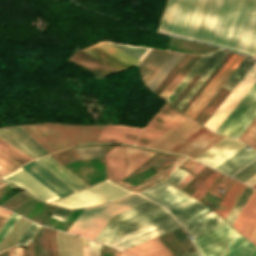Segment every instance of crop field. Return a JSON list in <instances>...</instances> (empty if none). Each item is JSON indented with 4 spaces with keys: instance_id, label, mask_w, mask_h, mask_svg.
<instances>
[{
    "instance_id": "8a807250",
    "label": "crop field",
    "mask_w": 256,
    "mask_h": 256,
    "mask_svg": "<svg viewBox=\"0 0 256 256\" xmlns=\"http://www.w3.org/2000/svg\"><path fill=\"white\" fill-rule=\"evenodd\" d=\"M158 32L256 52V0H168Z\"/></svg>"
},
{
    "instance_id": "92a150f3",
    "label": "crop field",
    "mask_w": 256,
    "mask_h": 256,
    "mask_svg": "<svg viewBox=\"0 0 256 256\" xmlns=\"http://www.w3.org/2000/svg\"><path fill=\"white\" fill-rule=\"evenodd\" d=\"M172 54V52L152 49L143 59V61L139 64V67L145 86L164 65V63L171 57Z\"/></svg>"
},
{
    "instance_id": "f4fd0767",
    "label": "crop field",
    "mask_w": 256,
    "mask_h": 256,
    "mask_svg": "<svg viewBox=\"0 0 256 256\" xmlns=\"http://www.w3.org/2000/svg\"><path fill=\"white\" fill-rule=\"evenodd\" d=\"M181 225L169 214H165L139 226L120 233L112 247L123 250Z\"/></svg>"
},
{
    "instance_id": "0bd39190",
    "label": "crop field",
    "mask_w": 256,
    "mask_h": 256,
    "mask_svg": "<svg viewBox=\"0 0 256 256\" xmlns=\"http://www.w3.org/2000/svg\"><path fill=\"white\" fill-rule=\"evenodd\" d=\"M82 50L118 71L129 68L128 66L124 65L123 63L115 60L114 58L108 56L107 54L99 51L98 49H96L92 46H90L86 49H82Z\"/></svg>"
},
{
    "instance_id": "1d79db26",
    "label": "crop field",
    "mask_w": 256,
    "mask_h": 256,
    "mask_svg": "<svg viewBox=\"0 0 256 256\" xmlns=\"http://www.w3.org/2000/svg\"><path fill=\"white\" fill-rule=\"evenodd\" d=\"M100 243H96L88 240V255L89 256H99L100 254Z\"/></svg>"
},
{
    "instance_id": "5142ce71",
    "label": "crop field",
    "mask_w": 256,
    "mask_h": 256,
    "mask_svg": "<svg viewBox=\"0 0 256 256\" xmlns=\"http://www.w3.org/2000/svg\"><path fill=\"white\" fill-rule=\"evenodd\" d=\"M245 146L238 140L225 137L195 160L214 168Z\"/></svg>"
},
{
    "instance_id": "dbb93151",
    "label": "crop field",
    "mask_w": 256,
    "mask_h": 256,
    "mask_svg": "<svg viewBox=\"0 0 256 256\" xmlns=\"http://www.w3.org/2000/svg\"><path fill=\"white\" fill-rule=\"evenodd\" d=\"M197 204H199V203H198L196 200H194V199L192 198V199H190V200H187V201H185V202H183V203H181V204H179V205H177V206H175V207L169 209V211H170L173 215H175V214H177V213H179V212H181V211H184V210H186V209H188V208H190V207H193V206H195V205H197Z\"/></svg>"
},
{
    "instance_id": "0fb4a251",
    "label": "crop field",
    "mask_w": 256,
    "mask_h": 256,
    "mask_svg": "<svg viewBox=\"0 0 256 256\" xmlns=\"http://www.w3.org/2000/svg\"><path fill=\"white\" fill-rule=\"evenodd\" d=\"M187 174L177 168L167 179L177 186Z\"/></svg>"
},
{
    "instance_id": "4a817a6b",
    "label": "crop field",
    "mask_w": 256,
    "mask_h": 256,
    "mask_svg": "<svg viewBox=\"0 0 256 256\" xmlns=\"http://www.w3.org/2000/svg\"><path fill=\"white\" fill-rule=\"evenodd\" d=\"M185 238H187V235L185 234L182 227H180L123 251L135 256H142Z\"/></svg>"
},
{
    "instance_id": "214f88e0",
    "label": "crop field",
    "mask_w": 256,
    "mask_h": 256,
    "mask_svg": "<svg viewBox=\"0 0 256 256\" xmlns=\"http://www.w3.org/2000/svg\"><path fill=\"white\" fill-rule=\"evenodd\" d=\"M21 168L24 169L27 173H29L32 177H34L37 181L43 184L59 198L73 192V190L67 187L64 183L54 177L51 173H49L35 161Z\"/></svg>"
},
{
    "instance_id": "120bbe31",
    "label": "crop field",
    "mask_w": 256,
    "mask_h": 256,
    "mask_svg": "<svg viewBox=\"0 0 256 256\" xmlns=\"http://www.w3.org/2000/svg\"><path fill=\"white\" fill-rule=\"evenodd\" d=\"M29 224L30 221L20 217V219L0 244V252L14 246Z\"/></svg>"
},
{
    "instance_id": "7b73153f",
    "label": "crop field",
    "mask_w": 256,
    "mask_h": 256,
    "mask_svg": "<svg viewBox=\"0 0 256 256\" xmlns=\"http://www.w3.org/2000/svg\"><path fill=\"white\" fill-rule=\"evenodd\" d=\"M250 186L254 185L256 183V175H254L253 177H251L249 180H247L246 182H244Z\"/></svg>"
},
{
    "instance_id": "d3111659",
    "label": "crop field",
    "mask_w": 256,
    "mask_h": 256,
    "mask_svg": "<svg viewBox=\"0 0 256 256\" xmlns=\"http://www.w3.org/2000/svg\"><path fill=\"white\" fill-rule=\"evenodd\" d=\"M58 231V230H57ZM57 245L59 256H72L71 252V235L57 232ZM72 251L73 256L82 255V237H78L72 234Z\"/></svg>"
},
{
    "instance_id": "b54c1fbb",
    "label": "crop field",
    "mask_w": 256,
    "mask_h": 256,
    "mask_svg": "<svg viewBox=\"0 0 256 256\" xmlns=\"http://www.w3.org/2000/svg\"><path fill=\"white\" fill-rule=\"evenodd\" d=\"M108 43V42H106ZM117 49L127 53L128 55L138 59L142 60V58L146 55V53L149 51L150 48L148 47H140V46H132V45H124V44H116V43H108Z\"/></svg>"
},
{
    "instance_id": "5866460e",
    "label": "crop field",
    "mask_w": 256,
    "mask_h": 256,
    "mask_svg": "<svg viewBox=\"0 0 256 256\" xmlns=\"http://www.w3.org/2000/svg\"><path fill=\"white\" fill-rule=\"evenodd\" d=\"M183 54L174 53L172 57L167 61V63L161 68V70L155 75V77L147 85L153 92L154 89L159 85L163 78L168 74V72L173 68L177 61L182 57Z\"/></svg>"
},
{
    "instance_id": "1d83c4d3",
    "label": "crop field",
    "mask_w": 256,
    "mask_h": 256,
    "mask_svg": "<svg viewBox=\"0 0 256 256\" xmlns=\"http://www.w3.org/2000/svg\"><path fill=\"white\" fill-rule=\"evenodd\" d=\"M255 116L256 99L251 103V105L246 109V111L242 114V116L237 120V122L232 126L226 135L238 138Z\"/></svg>"
},
{
    "instance_id": "1f2cbd36",
    "label": "crop field",
    "mask_w": 256,
    "mask_h": 256,
    "mask_svg": "<svg viewBox=\"0 0 256 256\" xmlns=\"http://www.w3.org/2000/svg\"><path fill=\"white\" fill-rule=\"evenodd\" d=\"M18 218H19V216L12 213V215L9 217V219L6 221V223L0 229V242L3 240V238L9 232V230L12 228V226L15 224V222L18 220Z\"/></svg>"
},
{
    "instance_id": "0f1d7ab4",
    "label": "crop field",
    "mask_w": 256,
    "mask_h": 256,
    "mask_svg": "<svg viewBox=\"0 0 256 256\" xmlns=\"http://www.w3.org/2000/svg\"><path fill=\"white\" fill-rule=\"evenodd\" d=\"M185 256H198V254L196 253V251H194V252H192V253H190V254H187V255H185Z\"/></svg>"
},
{
    "instance_id": "d1516ede",
    "label": "crop field",
    "mask_w": 256,
    "mask_h": 256,
    "mask_svg": "<svg viewBox=\"0 0 256 256\" xmlns=\"http://www.w3.org/2000/svg\"><path fill=\"white\" fill-rule=\"evenodd\" d=\"M222 138L203 127L169 152L185 154L194 159Z\"/></svg>"
},
{
    "instance_id": "730fd06b",
    "label": "crop field",
    "mask_w": 256,
    "mask_h": 256,
    "mask_svg": "<svg viewBox=\"0 0 256 256\" xmlns=\"http://www.w3.org/2000/svg\"><path fill=\"white\" fill-rule=\"evenodd\" d=\"M245 147L235 155H233L231 158L217 166L215 169L231 176L235 172H237L239 169H241L243 166L248 164L250 161H252L254 158H256V151L252 148L250 150Z\"/></svg>"
},
{
    "instance_id": "25e5ab78",
    "label": "crop field",
    "mask_w": 256,
    "mask_h": 256,
    "mask_svg": "<svg viewBox=\"0 0 256 256\" xmlns=\"http://www.w3.org/2000/svg\"><path fill=\"white\" fill-rule=\"evenodd\" d=\"M239 139L256 149V122L253 121Z\"/></svg>"
},
{
    "instance_id": "d23c7cc5",
    "label": "crop field",
    "mask_w": 256,
    "mask_h": 256,
    "mask_svg": "<svg viewBox=\"0 0 256 256\" xmlns=\"http://www.w3.org/2000/svg\"><path fill=\"white\" fill-rule=\"evenodd\" d=\"M20 165L22 164L0 151V176Z\"/></svg>"
},
{
    "instance_id": "d8731c3e",
    "label": "crop field",
    "mask_w": 256,
    "mask_h": 256,
    "mask_svg": "<svg viewBox=\"0 0 256 256\" xmlns=\"http://www.w3.org/2000/svg\"><path fill=\"white\" fill-rule=\"evenodd\" d=\"M239 235L238 232L226 224L193 240V243L201 256H224Z\"/></svg>"
},
{
    "instance_id": "750c4746",
    "label": "crop field",
    "mask_w": 256,
    "mask_h": 256,
    "mask_svg": "<svg viewBox=\"0 0 256 256\" xmlns=\"http://www.w3.org/2000/svg\"><path fill=\"white\" fill-rule=\"evenodd\" d=\"M244 188L245 185L234 181L215 212L225 219Z\"/></svg>"
},
{
    "instance_id": "447ae74e",
    "label": "crop field",
    "mask_w": 256,
    "mask_h": 256,
    "mask_svg": "<svg viewBox=\"0 0 256 256\" xmlns=\"http://www.w3.org/2000/svg\"><path fill=\"white\" fill-rule=\"evenodd\" d=\"M70 212L71 210L56 207L53 210H51L49 213L65 218Z\"/></svg>"
},
{
    "instance_id": "ac0d7876",
    "label": "crop field",
    "mask_w": 256,
    "mask_h": 256,
    "mask_svg": "<svg viewBox=\"0 0 256 256\" xmlns=\"http://www.w3.org/2000/svg\"><path fill=\"white\" fill-rule=\"evenodd\" d=\"M147 201L134 194L108 206L84 209L68 232L94 239L111 216Z\"/></svg>"
},
{
    "instance_id": "028f5c9d",
    "label": "crop field",
    "mask_w": 256,
    "mask_h": 256,
    "mask_svg": "<svg viewBox=\"0 0 256 256\" xmlns=\"http://www.w3.org/2000/svg\"><path fill=\"white\" fill-rule=\"evenodd\" d=\"M254 61L244 58L239 66L235 69L232 75L224 83L223 87L230 90L238 83V81L243 77V75L248 71V69L253 65Z\"/></svg>"
},
{
    "instance_id": "e1d0b9f6",
    "label": "crop field",
    "mask_w": 256,
    "mask_h": 256,
    "mask_svg": "<svg viewBox=\"0 0 256 256\" xmlns=\"http://www.w3.org/2000/svg\"><path fill=\"white\" fill-rule=\"evenodd\" d=\"M83 246H87V240L83 238Z\"/></svg>"
},
{
    "instance_id": "4177f3b9",
    "label": "crop field",
    "mask_w": 256,
    "mask_h": 256,
    "mask_svg": "<svg viewBox=\"0 0 256 256\" xmlns=\"http://www.w3.org/2000/svg\"><path fill=\"white\" fill-rule=\"evenodd\" d=\"M255 97L256 83L251 87V89L246 93V95L241 99V101L236 105V107L231 111V113L226 117V119L221 123V125L216 129L214 133L225 135L226 132L245 111V109L255 99Z\"/></svg>"
},
{
    "instance_id": "22f410ed",
    "label": "crop field",
    "mask_w": 256,
    "mask_h": 256,
    "mask_svg": "<svg viewBox=\"0 0 256 256\" xmlns=\"http://www.w3.org/2000/svg\"><path fill=\"white\" fill-rule=\"evenodd\" d=\"M200 127L202 126L187 117L147 147L167 152Z\"/></svg>"
},
{
    "instance_id": "d32e631a",
    "label": "crop field",
    "mask_w": 256,
    "mask_h": 256,
    "mask_svg": "<svg viewBox=\"0 0 256 256\" xmlns=\"http://www.w3.org/2000/svg\"><path fill=\"white\" fill-rule=\"evenodd\" d=\"M225 256H256V247L240 235Z\"/></svg>"
},
{
    "instance_id": "3316defc",
    "label": "crop field",
    "mask_w": 256,
    "mask_h": 256,
    "mask_svg": "<svg viewBox=\"0 0 256 256\" xmlns=\"http://www.w3.org/2000/svg\"><path fill=\"white\" fill-rule=\"evenodd\" d=\"M255 81L256 62L204 126L214 132L225 117L230 113V111L235 107V105L240 101V99L245 95V93L250 89V87L255 83Z\"/></svg>"
},
{
    "instance_id": "78b8030e",
    "label": "crop field",
    "mask_w": 256,
    "mask_h": 256,
    "mask_svg": "<svg viewBox=\"0 0 256 256\" xmlns=\"http://www.w3.org/2000/svg\"><path fill=\"white\" fill-rule=\"evenodd\" d=\"M116 256H130V255H127V254H125V253L120 252V251L117 250Z\"/></svg>"
},
{
    "instance_id": "dd49c442",
    "label": "crop field",
    "mask_w": 256,
    "mask_h": 256,
    "mask_svg": "<svg viewBox=\"0 0 256 256\" xmlns=\"http://www.w3.org/2000/svg\"><path fill=\"white\" fill-rule=\"evenodd\" d=\"M153 154L155 153L115 146L105 154L108 178L115 182L123 179Z\"/></svg>"
},
{
    "instance_id": "cbeb9de0",
    "label": "crop field",
    "mask_w": 256,
    "mask_h": 256,
    "mask_svg": "<svg viewBox=\"0 0 256 256\" xmlns=\"http://www.w3.org/2000/svg\"><path fill=\"white\" fill-rule=\"evenodd\" d=\"M0 138L33 159L48 155V153L20 127L0 129Z\"/></svg>"
},
{
    "instance_id": "412701ff",
    "label": "crop field",
    "mask_w": 256,
    "mask_h": 256,
    "mask_svg": "<svg viewBox=\"0 0 256 256\" xmlns=\"http://www.w3.org/2000/svg\"><path fill=\"white\" fill-rule=\"evenodd\" d=\"M130 193H132V191L110 180H105L96 185L54 201L52 204L75 209L107 204Z\"/></svg>"
},
{
    "instance_id": "e52e79f7",
    "label": "crop field",
    "mask_w": 256,
    "mask_h": 256,
    "mask_svg": "<svg viewBox=\"0 0 256 256\" xmlns=\"http://www.w3.org/2000/svg\"><path fill=\"white\" fill-rule=\"evenodd\" d=\"M208 211L210 210L199 204L193 208H190L184 212L175 215V217L184 225L190 238L194 237L195 239L209 231H212L226 224V222L219 218L215 213H213L212 211Z\"/></svg>"
},
{
    "instance_id": "c21b1889",
    "label": "crop field",
    "mask_w": 256,
    "mask_h": 256,
    "mask_svg": "<svg viewBox=\"0 0 256 256\" xmlns=\"http://www.w3.org/2000/svg\"><path fill=\"white\" fill-rule=\"evenodd\" d=\"M212 53L203 55L202 58L197 62V64L192 68V70L187 74L183 81L178 85V87L173 91V93L168 97L167 101L173 102L177 95L182 91L198 69L203 65V63L210 57Z\"/></svg>"
},
{
    "instance_id": "ae633e8c",
    "label": "crop field",
    "mask_w": 256,
    "mask_h": 256,
    "mask_svg": "<svg viewBox=\"0 0 256 256\" xmlns=\"http://www.w3.org/2000/svg\"><path fill=\"white\" fill-rule=\"evenodd\" d=\"M253 187H255V188H256V184H255Z\"/></svg>"
},
{
    "instance_id": "0765c3eb",
    "label": "crop field",
    "mask_w": 256,
    "mask_h": 256,
    "mask_svg": "<svg viewBox=\"0 0 256 256\" xmlns=\"http://www.w3.org/2000/svg\"><path fill=\"white\" fill-rule=\"evenodd\" d=\"M10 214L11 212L0 208V228L4 224V222L7 220V218L10 216Z\"/></svg>"
},
{
    "instance_id": "a9b5d70f",
    "label": "crop field",
    "mask_w": 256,
    "mask_h": 256,
    "mask_svg": "<svg viewBox=\"0 0 256 256\" xmlns=\"http://www.w3.org/2000/svg\"><path fill=\"white\" fill-rule=\"evenodd\" d=\"M35 161L42 165L53 175H55L58 179H60L74 191L87 187V185L81 182L78 178L68 172L65 168H63L49 156L36 159Z\"/></svg>"
},
{
    "instance_id": "e1f06a70",
    "label": "crop field",
    "mask_w": 256,
    "mask_h": 256,
    "mask_svg": "<svg viewBox=\"0 0 256 256\" xmlns=\"http://www.w3.org/2000/svg\"><path fill=\"white\" fill-rule=\"evenodd\" d=\"M227 52L223 51L221 55L216 59V61L211 65V67L206 71V73L197 81V83L191 88V90L185 95V97L176 106L180 110L187 103V101L192 97V95L197 91V89L202 85L206 78L211 74V72L216 68V66L221 62V60L226 56Z\"/></svg>"
},
{
    "instance_id": "34b2d1b8",
    "label": "crop field",
    "mask_w": 256,
    "mask_h": 256,
    "mask_svg": "<svg viewBox=\"0 0 256 256\" xmlns=\"http://www.w3.org/2000/svg\"><path fill=\"white\" fill-rule=\"evenodd\" d=\"M54 152L74 144L96 142L104 126L34 125Z\"/></svg>"
},
{
    "instance_id": "dafd665d",
    "label": "crop field",
    "mask_w": 256,
    "mask_h": 256,
    "mask_svg": "<svg viewBox=\"0 0 256 256\" xmlns=\"http://www.w3.org/2000/svg\"><path fill=\"white\" fill-rule=\"evenodd\" d=\"M158 207H160V205H158L152 201H149L140 206H137L135 208H132L130 210H127L125 212H122L118 215L111 217L110 220L107 222V224L103 227V229L96 236L95 240H97L99 242H103L104 239L107 237V235L111 232V230L114 228V226L116 224L123 222L125 220H128L130 218H133L135 216H138L140 214H143L145 212H148L150 210H153L155 208H158Z\"/></svg>"
},
{
    "instance_id": "425ffa30",
    "label": "crop field",
    "mask_w": 256,
    "mask_h": 256,
    "mask_svg": "<svg viewBox=\"0 0 256 256\" xmlns=\"http://www.w3.org/2000/svg\"><path fill=\"white\" fill-rule=\"evenodd\" d=\"M26 133H28L41 147H43L49 154L54 153L48 146L45 140L37 132L33 125L21 127Z\"/></svg>"
},
{
    "instance_id": "ae1a2a85",
    "label": "crop field",
    "mask_w": 256,
    "mask_h": 256,
    "mask_svg": "<svg viewBox=\"0 0 256 256\" xmlns=\"http://www.w3.org/2000/svg\"><path fill=\"white\" fill-rule=\"evenodd\" d=\"M70 61L86 67L91 72L99 76H105L117 72L116 70L112 69L111 67L107 66L106 64L100 62L99 60L93 58L92 56L79 49L74 53Z\"/></svg>"
},
{
    "instance_id": "28ad6ade",
    "label": "crop field",
    "mask_w": 256,
    "mask_h": 256,
    "mask_svg": "<svg viewBox=\"0 0 256 256\" xmlns=\"http://www.w3.org/2000/svg\"><path fill=\"white\" fill-rule=\"evenodd\" d=\"M242 59L243 57L233 54L185 113L194 119Z\"/></svg>"
},
{
    "instance_id": "bd1437ed",
    "label": "crop field",
    "mask_w": 256,
    "mask_h": 256,
    "mask_svg": "<svg viewBox=\"0 0 256 256\" xmlns=\"http://www.w3.org/2000/svg\"><path fill=\"white\" fill-rule=\"evenodd\" d=\"M194 251L189 238L147 254L145 256H182Z\"/></svg>"
},
{
    "instance_id": "89e229c0",
    "label": "crop field",
    "mask_w": 256,
    "mask_h": 256,
    "mask_svg": "<svg viewBox=\"0 0 256 256\" xmlns=\"http://www.w3.org/2000/svg\"><path fill=\"white\" fill-rule=\"evenodd\" d=\"M40 226L34 224L31 222V224L28 226L26 231L23 233V235L20 237L18 242L15 245L21 244H27L28 241L32 238V236L35 234V232L38 230Z\"/></svg>"
},
{
    "instance_id": "5a996713",
    "label": "crop field",
    "mask_w": 256,
    "mask_h": 256,
    "mask_svg": "<svg viewBox=\"0 0 256 256\" xmlns=\"http://www.w3.org/2000/svg\"><path fill=\"white\" fill-rule=\"evenodd\" d=\"M185 117L187 116L166 103L145 127L136 145L147 146Z\"/></svg>"
},
{
    "instance_id": "733c2abd",
    "label": "crop field",
    "mask_w": 256,
    "mask_h": 256,
    "mask_svg": "<svg viewBox=\"0 0 256 256\" xmlns=\"http://www.w3.org/2000/svg\"><path fill=\"white\" fill-rule=\"evenodd\" d=\"M140 194L163 204L167 209L191 198L189 195L167 181H163L153 187H150L140 192Z\"/></svg>"
},
{
    "instance_id": "9d1cf04e",
    "label": "crop field",
    "mask_w": 256,
    "mask_h": 256,
    "mask_svg": "<svg viewBox=\"0 0 256 256\" xmlns=\"http://www.w3.org/2000/svg\"><path fill=\"white\" fill-rule=\"evenodd\" d=\"M222 52V50L216 51L212 54V56L205 62V64L200 68V70L198 71V74H203L208 67L214 62V60L220 55V53Z\"/></svg>"
},
{
    "instance_id": "5d738f31",
    "label": "crop field",
    "mask_w": 256,
    "mask_h": 256,
    "mask_svg": "<svg viewBox=\"0 0 256 256\" xmlns=\"http://www.w3.org/2000/svg\"><path fill=\"white\" fill-rule=\"evenodd\" d=\"M0 150L14 158L15 160L19 161L20 163L24 164L30 160H32L30 157L26 156L19 150L15 149L11 145L7 144L3 140L0 139Z\"/></svg>"
},
{
    "instance_id": "eef30255",
    "label": "crop field",
    "mask_w": 256,
    "mask_h": 256,
    "mask_svg": "<svg viewBox=\"0 0 256 256\" xmlns=\"http://www.w3.org/2000/svg\"><path fill=\"white\" fill-rule=\"evenodd\" d=\"M165 213H167V211L164 210L162 207H160L158 209H155L153 211H150L148 213H145L143 215H140L138 217H135L133 219L125 221L123 223H120L115 226V228L112 230V232L108 235V237L105 239V241L103 243L111 246V244L114 242V240L116 239V237L119 235L120 232H122L126 229H129L131 227H134L138 224H141L143 222H146L155 217H158Z\"/></svg>"
},
{
    "instance_id": "03da06ac",
    "label": "crop field",
    "mask_w": 256,
    "mask_h": 256,
    "mask_svg": "<svg viewBox=\"0 0 256 256\" xmlns=\"http://www.w3.org/2000/svg\"><path fill=\"white\" fill-rule=\"evenodd\" d=\"M252 192H253V189L246 186V188L242 192L241 196L239 197V199L237 200V202L235 203V205L233 206L230 213L228 214V216L225 219L229 224L232 225L235 218L241 211L242 207L244 206V204L246 203V201L248 200V198L250 197Z\"/></svg>"
},
{
    "instance_id": "c035e120",
    "label": "crop field",
    "mask_w": 256,
    "mask_h": 256,
    "mask_svg": "<svg viewBox=\"0 0 256 256\" xmlns=\"http://www.w3.org/2000/svg\"><path fill=\"white\" fill-rule=\"evenodd\" d=\"M200 58V56L193 55L192 58L187 62V64L183 67V69L179 72V74L174 78V80L170 83V85L166 88V90L161 94L160 98L166 100L167 97L171 94V92L175 89V87L179 84V82L183 79V77L188 73V71L192 68V66L196 63V61Z\"/></svg>"
},
{
    "instance_id": "00972430",
    "label": "crop field",
    "mask_w": 256,
    "mask_h": 256,
    "mask_svg": "<svg viewBox=\"0 0 256 256\" xmlns=\"http://www.w3.org/2000/svg\"><path fill=\"white\" fill-rule=\"evenodd\" d=\"M140 131L141 129L137 128L105 126L97 142H116L134 145Z\"/></svg>"
},
{
    "instance_id": "73cf0c24",
    "label": "crop field",
    "mask_w": 256,
    "mask_h": 256,
    "mask_svg": "<svg viewBox=\"0 0 256 256\" xmlns=\"http://www.w3.org/2000/svg\"><path fill=\"white\" fill-rule=\"evenodd\" d=\"M254 174H256V160L253 161L251 164H249L248 166H246L244 169H242L241 171H239L238 173H236L234 176H232L233 178L244 182L246 181L248 178H250L251 176H253Z\"/></svg>"
},
{
    "instance_id": "bc2a9ffb",
    "label": "crop field",
    "mask_w": 256,
    "mask_h": 256,
    "mask_svg": "<svg viewBox=\"0 0 256 256\" xmlns=\"http://www.w3.org/2000/svg\"><path fill=\"white\" fill-rule=\"evenodd\" d=\"M232 226L256 244V190H254Z\"/></svg>"
},
{
    "instance_id": "d14b1444",
    "label": "crop field",
    "mask_w": 256,
    "mask_h": 256,
    "mask_svg": "<svg viewBox=\"0 0 256 256\" xmlns=\"http://www.w3.org/2000/svg\"><path fill=\"white\" fill-rule=\"evenodd\" d=\"M254 121H256V119Z\"/></svg>"
},
{
    "instance_id": "db79e9e6",
    "label": "crop field",
    "mask_w": 256,
    "mask_h": 256,
    "mask_svg": "<svg viewBox=\"0 0 256 256\" xmlns=\"http://www.w3.org/2000/svg\"><path fill=\"white\" fill-rule=\"evenodd\" d=\"M9 256H22L21 247H15L8 251Z\"/></svg>"
},
{
    "instance_id": "b80d0937",
    "label": "crop field",
    "mask_w": 256,
    "mask_h": 256,
    "mask_svg": "<svg viewBox=\"0 0 256 256\" xmlns=\"http://www.w3.org/2000/svg\"><path fill=\"white\" fill-rule=\"evenodd\" d=\"M93 46L101 49L102 51L112 55L113 57L121 60L122 62H124L130 66H134L140 62L104 42H99Z\"/></svg>"
},
{
    "instance_id": "d9b57169",
    "label": "crop field",
    "mask_w": 256,
    "mask_h": 256,
    "mask_svg": "<svg viewBox=\"0 0 256 256\" xmlns=\"http://www.w3.org/2000/svg\"><path fill=\"white\" fill-rule=\"evenodd\" d=\"M2 179L23 188L31 196L45 202H50L58 199V197H56L53 193H51L48 189H46L43 185L37 182L21 168H18L17 170L2 177Z\"/></svg>"
}]
</instances>
